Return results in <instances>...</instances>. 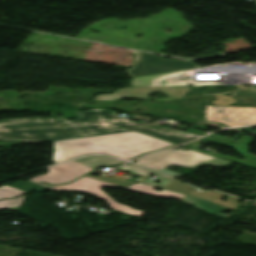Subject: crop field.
Segmentation results:
<instances>
[{
	"label": "crop field",
	"mask_w": 256,
	"mask_h": 256,
	"mask_svg": "<svg viewBox=\"0 0 256 256\" xmlns=\"http://www.w3.org/2000/svg\"><path fill=\"white\" fill-rule=\"evenodd\" d=\"M137 131L178 145L194 136L161 130L118 117L112 110H88L80 112L77 120L65 118H23L0 122V140L8 142L38 143L86 136L105 135L117 132Z\"/></svg>",
	"instance_id": "8a807250"
},
{
	"label": "crop field",
	"mask_w": 256,
	"mask_h": 256,
	"mask_svg": "<svg viewBox=\"0 0 256 256\" xmlns=\"http://www.w3.org/2000/svg\"><path fill=\"white\" fill-rule=\"evenodd\" d=\"M167 146H175V144L137 132L62 140L54 142L52 161L58 163L93 152L129 160Z\"/></svg>",
	"instance_id": "ac0d7876"
},
{
	"label": "crop field",
	"mask_w": 256,
	"mask_h": 256,
	"mask_svg": "<svg viewBox=\"0 0 256 256\" xmlns=\"http://www.w3.org/2000/svg\"><path fill=\"white\" fill-rule=\"evenodd\" d=\"M118 170L135 173L138 174L141 178L136 181L142 184H148L152 185L154 187L164 188L167 190H171L178 193L187 194L182 202L192 204L193 202L196 203L195 206H197L199 209L206 211L207 213L214 214L220 217H227V214L221 213L222 210H234L239 206L238 199H235L233 197L221 194L216 191H207L203 190L194 186H191L189 184H184L176 180L175 178L165 176L153 171H149L140 167H136L133 165H125ZM90 173L86 176L101 179L107 182L123 185L126 187L131 186L132 184L136 182L127 181V180H117L113 178L108 177H94ZM149 175L158 176V178L155 181L146 179ZM156 181H159L160 183H155ZM224 196L228 197V201L220 200ZM190 201V202H187ZM194 205V204H192Z\"/></svg>",
	"instance_id": "34b2d1b8"
},
{
	"label": "crop field",
	"mask_w": 256,
	"mask_h": 256,
	"mask_svg": "<svg viewBox=\"0 0 256 256\" xmlns=\"http://www.w3.org/2000/svg\"><path fill=\"white\" fill-rule=\"evenodd\" d=\"M133 163L141 166L153 168L156 170H160L164 173L172 174L175 176H182L179 173H176L174 171H171L165 168L171 164L180 165L183 167L196 168L197 165H202V164L223 166V165L230 164L231 162L221 160L215 157H211L191 149L187 151H183L179 149H176V150L171 149L166 152L143 157Z\"/></svg>",
	"instance_id": "412701ff"
},
{
	"label": "crop field",
	"mask_w": 256,
	"mask_h": 256,
	"mask_svg": "<svg viewBox=\"0 0 256 256\" xmlns=\"http://www.w3.org/2000/svg\"><path fill=\"white\" fill-rule=\"evenodd\" d=\"M197 66V64L190 61L167 60L137 51L135 68L128 70V72L131 77H135Z\"/></svg>",
	"instance_id": "f4fd0767"
},
{
	"label": "crop field",
	"mask_w": 256,
	"mask_h": 256,
	"mask_svg": "<svg viewBox=\"0 0 256 256\" xmlns=\"http://www.w3.org/2000/svg\"><path fill=\"white\" fill-rule=\"evenodd\" d=\"M191 91L189 87H157V88H121L111 95H97L95 100L115 101L121 98H135L147 100L148 95L154 92H162L173 98L183 97Z\"/></svg>",
	"instance_id": "dd49c442"
},
{
	"label": "crop field",
	"mask_w": 256,
	"mask_h": 256,
	"mask_svg": "<svg viewBox=\"0 0 256 256\" xmlns=\"http://www.w3.org/2000/svg\"><path fill=\"white\" fill-rule=\"evenodd\" d=\"M48 170L49 172L46 175L38 176L36 178H32L31 180L39 183L45 182L51 185H58L68 183L90 172L93 169L79 164L75 161H72L52 168H48Z\"/></svg>",
	"instance_id": "e52e79f7"
},
{
	"label": "crop field",
	"mask_w": 256,
	"mask_h": 256,
	"mask_svg": "<svg viewBox=\"0 0 256 256\" xmlns=\"http://www.w3.org/2000/svg\"><path fill=\"white\" fill-rule=\"evenodd\" d=\"M210 140H212L214 142H217V143H220V144L228 145V146H231V147L235 148L238 152H240L242 154V156H244L247 159L245 161H242V160H238V159H236L234 157H230V156H225V155H221V154H213V153L204 152V151L199 150L198 148H196L193 145H187L185 147L194 149V150L202 152V153L214 155V156H217V157H220V158H223V159L232 160V161H234V162H236L238 164H244V165H246L248 167L256 169V156L248 152V145L252 141V138L243 136L239 140H237L234 144L218 141V140H215L213 138L209 139L208 141H210Z\"/></svg>",
	"instance_id": "d8731c3e"
},
{
	"label": "crop field",
	"mask_w": 256,
	"mask_h": 256,
	"mask_svg": "<svg viewBox=\"0 0 256 256\" xmlns=\"http://www.w3.org/2000/svg\"><path fill=\"white\" fill-rule=\"evenodd\" d=\"M138 81H141L139 83ZM177 86L173 73L134 78L132 87Z\"/></svg>",
	"instance_id": "5a996713"
},
{
	"label": "crop field",
	"mask_w": 256,
	"mask_h": 256,
	"mask_svg": "<svg viewBox=\"0 0 256 256\" xmlns=\"http://www.w3.org/2000/svg\"><path fill=\"white\" fill-rule=\"evenodd\" d=\"M211 109L213 112L211 119L213 120L227 121L241 125L256 124V122L253 121L231 117L228 107L212 106Z\"/></svg>",
	"instance_id": "3316defc"
},
{
	"label": "crop field",
	"mask_w": 256,
	"mask_h": 256,
	"mask_svg": "<svg viewBox=\"0 0 256 256\" xmlns=\"http://www.w3.org/2000/svg\"><path fill=\"white\" fill-rule=\"evenodd\" d=\"M75 161L82 163L86 166H89L93 169L100 167V166L117 165V164L123 163V162L117 161L115 159L105 157V156H99V155H93V156L85 157V158L75 160Z\"/></svg>",
	"instance_id": "28ad6ade"
},
{
	"label": "crop field",
	"mask_w": 256,
	"mask_h": 256,
	"mask_svg": "<svg viewBox=\"0 0 256 256\" xmlns=\"http://www.w3.org/2000/svg\"><path fill=\"white\" fill-rule=\"evenodd\" d=\"M231 115L234 117H239L243 119H249L256 121V109L253 108H237L229 107Z\"/></svg>",
	"instance_id": "d1516ede"
},
{
	"label": "crop field",
	"mask_w": 256,
	"mask_h": 256,
	"mask_svg": "<svg viewBox=\"0 0 256 256\" xmlns=\"http://www.w3.org/2000/svg\"><path fill=\"white\" fill-rule=\"evenodd\" d=\"M26 193L27 192L5 185L0 188V200L25 195Z\"/></svg>",
	"instance_id": "22f410ed"
},
{
	"label": "crop field",
	"mask_w": 256,
	"mask_h": 256,
	"mask_svg": "<svg viewBox=\"0 0 256 256\" xmlns=\"http://www.w3.org/2000/svg\"><path fill=\"white\" fill-rule=\"evenodd\" d=\"M24 199L25 198L22 197L18 199L0 201V209H9V210L16 211L19 209Z\"/></svg>",
	"instance_id": "cbeb9de0"
},
{
	"label": "crop field",
	"mask_w": 256,
	"mask_h": 256,
	"mask_svg": "<svg viewBox=\"0 0 256 256\" xmlns=\"http://www.w3.org/2000/svg\"><path fill=\"white\" fill-rule=\"evenodd\" d=\"M217 100L212 101L214 105H222L229 106L235 102H238L236 99L226 96L224 94L221 95H213Z\"/></svg>",
	"instance_id": "5142ce71"
},
{
	"label": "crop field",
	"mask_w": 256,
	"mask_h": 256,
	"mask_svg": "<svg viewBox=\"0 0 256 256\" xmlns=\"http://www.w3.org/2000/svg\"><path fill=\"white\" fill-rule=\"evenodd\" d=\"M2 184H5V183H2ZM7 185H9V184H7ZM38 184H35V183H32V182H30V181H27V182H22V181H19V182H17V183H14V184H12V185H10V186H13V187H16V188H18V189H21V190H24V191H27V192H29V190L31 189V188H33V187H35V186H37Z\"/></svg>",
	"instance_id": "d9b57169"
},
{
	"label": "crop field",
	"mask_w": 256,
	"mask_h": 256,
	"mask_svg": "<svg viewBox=\"0 0 256 256\" xmlns=\"http://www.w3.org/2000/svg\"><path fill=\"white\" fill-rule=\"evenodd\" d=\"M112 102H104V101H96L94 104L91 105H84L86 108H104L109 107Z\"/></svg>",
	"instance_id": "733c2abd"
},
{
	"label": "crop field",
	"mask_w": 256,
	"mask_h": 256,
	"mask_svg": "<svg viewBox=\"0 0 256 256\" xmlns=\"http://www.w3.org/2000/svg\"><path fill=\"white\" fill-rule=\"evenodd\" d=\"M241 134H238L236 137L234 138H227V137H223V136H219V135H215V134H211V135H208L204 138H202V140L206 139V138H209V137H214V138H218V139H221V140H225V141H228V142H233L235 139H237Z\"/></svg>",
	"instance_id": "4a817a6b"
},
{
	"label": "crop field",
	"mask_w": 256,
	"mask_h": 256,
	"mask_svg": "<svg viewBox=\"0 0 256 256\" xmlns=\"http://www.w3.org/2000/svg\"><path fill=\"white\" fill-rule=\"evenodd\" d=\"M38 187V186H37ZM35 191H41V192H47V191H53L51 189H48L46 187H43V186H39L38 188L34 189Z\"/></svg>",
	"instance_id": "bc2a9ffb"
},
{
	"label": "crop field",
	"mask_w": 256,
	"mask_h": 256,
	"mask_svg": "<svg viewBox=\"0 0 256 256\" xmlns=\"http://www.w3.org/2000/svg\"><path fill=\"white\" fill-rule=\"evenodd\" d=\"M58 191H77V190H73V189H70V188H67V187H63V186H60V187H57V188H54Z\"/></svg>",
	"instance_id": "214f88e0"
},
{
	"label": "crop field",
	"mask_w": 256,
	"mask_h": 256,
	"mask_svg": "<svg viewBox=\"0 0 256 256\" xmlns=\"http://www.w3.org/2000/svg\"><path fill=\"white\" fill-rule=\"evenodd\" d=\"M211 114H212V112H211L210 106H207V119L208 120H209Z\"/></svg>",
	"instance_id": "92a150f3"
},
{
	"label": "crop field",
	"mask_w": 256,
	"mask_h": 256,
	"mask_svg": "<svg viewBox=\"0 0 256 256\" xmlns=\"http://www.w3.org/2000/svg\"><path fill=\"white\" fill-rule=\"evenodd\" d=\"M254 89H256V87H254V88H249V89H245L244 91H246V92H252V93L256 94V90H254Z\"/></svg>",
	"instance_id": "dafd665d"
},
{
	"label": "crop field",
	"mask_w": 256,
	"mask_h": 256,
	"mask_svg": "<svg viewBox=\"0 0 256 256\" xmlns=\"http://www.w3.org/2000/svg\"><path fill=\"white\" fill-rule=\"evenodd\" d=\"M149 100H154V99H149ZM170 100H173V99L172 98H168V99H161V100H158V101H170Z\"/></svg>",
	"instance_id": "00972430"
},
{
	"label": "crop field",
	"mask_w": 256,
	"mask_h": 256,
	"mask_svg": "<svg viewBox=\"0 0 256 256\" xmlns=\"http://www.w3.org/2000/svg\"><path fill=\"white\" fill-rule=\"evenodd\" d=\"M222 123H225V124L230 125V126H241V125L231 124V123H227V122H222Z\"/></svg>",
	"instance_id": "a9b5d70f"
},
{
	"label": "crop field",
	"mask_w": 256,
	"mask_h": 256,
	"mask_svg": "<svg viewBox=\"0 0 256 256\" xmlns=\"http://www.w3.org/2000/svg\"><path fill=\"white\" fill-rule=\"evenodd\" d=\"M235 87H239V88H244V86H241V85H233Z\"/></svg>",
	"instance_id": "4177f3b9"
},
{
	"label": "crop field",
	"mask_w": 256,
	"mask_h": 256,
	"mask_svg": "<svg viewBox=\"0 0 256 256\" xmlns=\"http://www.w3.org/2000/svg\"><path fill=\"white\" fill-rule=\"evenodd\" d=\"M255 201H256V199H255Z\"/></svg>",
	"instance_id": "730fd06b"
}]
</instances>
